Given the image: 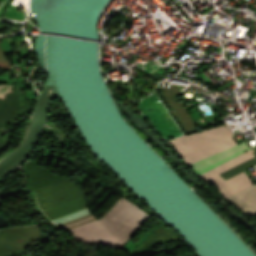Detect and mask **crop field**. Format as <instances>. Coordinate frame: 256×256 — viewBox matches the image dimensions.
<instances>
[{"instance_id": "8a807250", "label": "crop field", "mask_w": 256, "mask_h": 256, "mask_svg": "<svg viewBox=\"0 0 256 256\" xmlns=\"http://www.w3.org/2000/svg\"><path fill=\"white\" fill-rule=\"evenodd\" d=\"M225 126L169 140L187 165L236 145Z\"/></svg>"}, {"instance_id": "ac0d7876", "label": "crop field", "mask_w": 256, "mask_h": 256, "mask_svg": "<svg viewBox=\"0 0 256 256\" xmlns=\"http://www.w3.org/2000/svg\"><path fill=\"white\" fill-rule=\"evenodd\" d=\"M161 95L173 114L176 116L181 126L183 127L185 133H191L197 131V128L180 103L177 96L181 95L177 86L172 85L170 89L161 88Z\"/></svg>"}, {"instance_id": "34b2d1b8", "label": "crop field", "mask_w": 256, "mask_h": 256, "mask_svg": "<svg viewBox=\"0 0 256 256\" xmlns=\"http://www.w3.org/2000/svg\"><path fill=\"white\" fill-rule=\"evenodd\" d=\"M248 150H249V147L245 142H243L239 145H236L232 148L224 150L220 153H217L215 155H212L210 157L197 161L189 166L192 167L198 174H201Z\"/></svg>"}, {"instance_id": "412701ff", "label": "crop field", "mask_w": 256, "mask_h": 256, "mask_svg": "<svg viewBox=\"0 0 256 256\" xmlns=\"http://www.w3.org/2000/svg\"><path fill=\"white\" fill-rule=\"evenodd\" d=\"M227 200L237 205L243 212L256 215V185L227 198Z\"/></svg>"}, {"instance_id": "f4fd0767", "label": "crop field", "mask_w": 256, "mask_h": 256, "mask_svg": "<svg viewBox=\"0 0 256 256\" xmlns=\"http://www.w3.org/2000/svg\"><path fill=\"white\" fill-rule=\"evenodd\" d=\"M255 152L253 149H251L250 151L240 155L239 157L201 175L200 177L202 179H204L205 181L209 182L212 184V186L224 181V179L219 175L220 173L252 158L255 157L252 153Z\"/></svg>"}, {"instance_id": "dd49c442", "label": "crop field", "mask_w": 256, "mask_h": 256, "mask_svg": "<svg viewBox=\"0 0 256 256\" xmlns=\"http://www.w3.org/2000/svg\"><path fill=\"white\" fill-rule=\"evenodd\" d=\"M253 185L244 172L214 186L225 198Z\"/></svg>"}, {"instance_id": "e52e79f7", "label": "crop field", "mask_w": 256, "mask_h": 256, "mask_svg": "<svg viewBox=\"0 0 256 256\" xmlns=\"http://www.w3.org/2000/svg\"><path fill=\"white\" fill-rule=\"evenodd\" d=\"M255 165H256V160L253 158V159H251V160H249V161H247V162H245V163H243V164H241V165H239V166L221 174V176L226 180V179H228V178H230V177H232V176H234V175H236V174H238V173H240V172H242V171H244V170H246V169H248L252 166H255Z\"/></svg>"}]
</instances>
